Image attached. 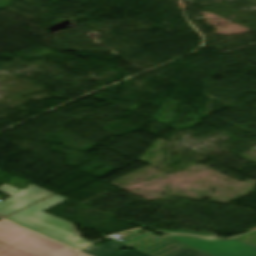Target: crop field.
<instances>
[{"label": "crop field", "instance_id": "crop-field-1", "mask_svg": "<svg viewBox=\"0 0 256 256\" xmlns=\"http://www.w3.org/2000/svg\"><path fill=\"white\" fill-rule=\"evenodd\" d=\"M66 200L56 194L6 219L78 249L90 242L80 238L75 225L43 212Z\"/></svg>", "mask_w": 256, "mask_h": 256}, {"label": "crop field", "instance_id": "crop-field-6", "mask_svg": "<svg viewBox=\"0 0 256 256\" xmlns=\"http://www.w3.org/2000/svg\"><path fill=\"white\" fill-rule=\"evenodd\" d=\"M124 245L112 240L98 248L89 246L81 251L86 252L93 256H149L140 251L137 252H120L119 249L123 248Z\"/></svg>", "mask_w": 256, "mask_h": 256}, {"label": "crop field", "instance_id": "crop-field-2", "mask_svg": "<svg viewBox=\"0 0 256 256\" xmlns=\"http://www.w3.org/2000/svg\"><path fill=\"white\" fill-rule=\"evenodd\" d=\"M0 256H84L30 231L0 221Z\"/></svg>", "mask_w": 256, "mask_h": 256}, {"label": "crop field", "instance_id": "crop-field-9", "mask_svg": "<svg viewBox=\"0 0 256 256\" xmlns=\"http://www.w3.org/2000/svg\"><path fill=\"white\" fill-rule=\"evenodd\" d=\"M162 232L167 233H184V234H192V235H199V236H217L212 234H203V233H196V232H190V231H176V230H160Z\"/></svg>", "mask_w": 256, "mask_h": 256}, {"label": "crop field", "instance_id": "crop-field-7", "mask_svg": "<svg viewBox=\"0 0 256 256\" xmlns=\"http://www.w3.org/2000/svg\"><path fill=\"white\" fill-rule=\"evenodd\" d=\"M174 256H207V255H204L202 253H199L195 250H192V249L188 248V249H186V250H184V251H182V252H180V253H178Z\"/></svg>", "mask_w": 256, "mask_h": 256}, {"label": "crop field", "instance_id": "crop-field-3", "mask_svg": "<svg viewBox=\"0 0 256 256\" xmlns=\"http://www.w3.org/2000/svg\"><path fill=\"white\" fill-rule=\"evenodd\" d=\"M209 256H256V246L234 239L198 238L181 235L162 236Z\"/></svg>", "mask_w": 256, "mask_h": 256}, {"label": "crop field", "instance_id": "crop-field-5", "mask_svg": "<svg viewBox=\"0 0 256 256\" xmlns=\"http://www.w3.org/2000/svg\"><path fill=\"white\" fill-rule=\"evenodd\" d=\"M142 231L141 229H138V230H135V231H131L133 233H135L134 235L132 236H129L127 238H125L126 240H128L127 242L123 243L125 245H129V246H134L152 236H155L137 246H135L134 248H138L139 246L159 237V236H156L154 234H151V233H147V234H144V235H139L137 234L138 232ZM187 247L185 246H182V245H179L177 243H174L172 241H169L167 239H164L162 237H160L159 239L153 241L152 243L142 247V248H139L138 250L142 251V252H145L149 255H152V256H171L183 249H185Z\"/></svg>", "mask_w": 256, "mask_h": 256}, {"label": "crop field", "instance_id": "crop-field-8", "mask_svg": "<svg viewBox=\"0 0 256 256\" xmlns=\"http://www.w3.org/2000/svg\"><path fill=\"white\" fill-rule=\"evenodd\" d=\"M237 238L242 239L244 241H247L249 243H252V244L256 245V231H254V232H252L250 234L241 236V237H237Z\"/></svg>", "mask_w": 256, "mask_h": 256}, {"label": "crop field", "instance_id": "crop-field-4", "mask_svg": "<svg viewBox=\"0 0 256 256\" xmlns=\"http://www.w3.org/2000/svg\"><path fill=\"white\" fill-rule=\"evenodd\" d=\"M0 191L11 196L0 203V217L2 218L53 194L33 185L20 191L5 184L0 188Z\"/></svg>", "mask_w": 256, "mask_h": 256}]
</instances>
